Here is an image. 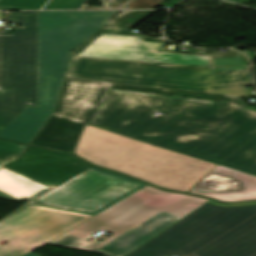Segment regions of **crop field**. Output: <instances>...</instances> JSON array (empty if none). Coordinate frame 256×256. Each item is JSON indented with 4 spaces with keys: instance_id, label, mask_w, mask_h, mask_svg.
I'll use <instances>...</instances> for the list:
<instances>
[{
    "instance_id": "1",
    "label": "crop field",
    "mask_w": 256,
    "mask_h": 256,
    "mask_svg": "<svg viewBox=\"0 0 256 256\" xmlns=\"http://www.w3.org/2000/svg\"><path fill=\"white\" fill-rule=\"evenodd\" d=\"M73 154L188 192L218 164L256 175V113L231 103L110 89Z\"/></svg>"
},
{
    "instance_id": "2",
    "label": "crop field",
    "mask_w": 256,
    "mask_h": 256,
    "mask_svg": "<svg viewBox=\"0 0 256 256\" xmlns=\"http://www.w3.org/2000/svg\"><path fill=\"white\" fill-rule=\"evenodd\" d=\"M167 44L105 25L73 51L65 77L197 92L253 84L239 52L187 55L165 51Z\"/></svg>"
},
{
    "instance_id": "3",
    "label": "crop field",
    "mask_w": 256,
    "mask_h": 256,
    "mask_svg": "<svg viewBox=\"0 0 256 256\" xmlns=\"http://www.w3.org/2000/svg\"><path fill=\"white\" fill-rule=\"evenodd\" d=\"M207 201L147 186L47 244L82 251L102 228L114 234L86 250L122 256Z\"/></svg>"
},
{
    "instance_id": "4",
    "label": "crop field",
    "mask_w": 256,
    "mask_h": 256,
    "mask_svg": "<svg viewBox=\"0 0 256 256\" xmlns=\"http://www.w3.org/2000/svg\"><path fill=\"white\" fill-rule=\"evenodd\" d=\"M121 11L39 12V108L28 107L0 137L29 144L53 114L72 50Z\"/></svg>"
},
{
    "instance_id": "5",
    "label": "crop field",
    "mask_w": 256,
    "mask_h": 256,
    "mask_svg": "<svg viewBox=\"0 0 256 256\" xmlns=\"http://www.w3.org/2000/svg\"><path fill=\"white\" fill-rule=\"evenodd\" d=\"M256 256V205L203 204L124 256Z\"/></svg>"
},
{
    "instance_id": "6",
    "label": "crop field",
    "mask_w": 256,
    "mask_h": 256,
    "mask_svg": "<svg viewBox=\"0 0 256 256\" xmlns=\"http://www.w3.org/2000/svg\"><path fill=\"white\" fill-rule=\"evenodd\" d=\"M109 88L212 99L248 107L235 96L65 78L54 114L31 144L72 153L85 123H92Z\"/></svg>"
},
{
    "instance_id": "7",
    "label": "crop field",
    "mask_w": 256,
    "mask_h": 256,
    "mask_svg": "<svg viewBox=\"0 0 256 256\" xmlns=\"http://www.w3.org/2000/svg\"><path fill=\"white\" fill-rule=\"evenodd\" d=\"M37 21V12H8L20 28L1 33L0 132L28 106L38 107Z\"/></svg>"
},
{
    "instance_id": "8",
    "label": "crop field",
    "mask_w": 256,
    "mask_h": 256,
    "mask_svg": "<svg viewBox=\"0 0 256 256\" xmlns=\"http://www.w3.org/2000/svg\"><path fill=\"white\" fill-rule=\"evenodd\" d=\"M145 186L126 176L91 167L31 204L95 215Z\"/></svg>"
},
{
    "instance_id": "9",
    "label": "crop field",
    "mask_w": 256,
    "mask_h": 256,
    "mask_svg": "<svg viewBox=\"0 0 256 256\" xmlns=\"http://www.w3.org/2000/svg\"><path fill=\"white\" fill-rule=\"evenodd\" d=\"M92 217L28 204L0 223V256H22ZM40 248V247H39Z\"/></svg>"
},
{
    "instance_id": "10",
    "label": "crop field",
    "mask_w": 256,
    "mask_h": 256,
    "mask_svg": "<svg viewBox=\"0 0 256 256\" xmlns=\"http://www.w3.org/2000/svg\"><path fill=\"white\" fill-rule=\"evenodd\" d=\"M4 167L46 186L57 187L91 166L71 156L27 146L16 162Z\"/></svg>"
},
{
    "instance_id": "11",
    "label": "crop field",
    "mask_w": 256,
    "mask_h": 256,
    "mask_svg": "<svg viewBox=\"0 0 256 256\" xmlns=\"http://www.w3.org/2000/svg\"><path fill=\"white\" fill-rule=\"evenodd\" d=\"M188 193L225 202L256 199V176L218 165Z\"/></svg>"
},
{
    "instance_id": "12",
    "label": "crop field",
    "mask_w": 256,
    "mask_h": 256,
    "mask_svg": "<svg viewBox=\"0 0 256 256\" xmlns=\"http://www.w3.org/2000/svg\"><path fill=\"white\" fill-rule=\"evenodd\" d=\"M36 181L22 177L5 168H0V198L21 201L30 200L49 190Z\"/></svg>"
},
{
    "instance_id": "13",
    "label": "crop field",
    "mask_w": 256,
    "mask_h": 256,
    "mask_svg": "<svg viewBox=\"0 0 256 256\" xmlns=\"http://www.w3.org/2000/svg\"><path fill=\"white\" fill-rule=\"evenodd\" d=\"M48 0H0V10H40ZM87 0H51L44 9H80Z\"/></svg>"
},
{
    "instance_id": "14",
    "label": "crop field",
    "mask_w": 256,
    "mask_h": 256,
    "mask_svg": "<svg viewBox=\"0 0 256 256\" xmlns=\"http://www.w3.org/2000/svg\"><path fill=\"white\" fill-rule=\"evenodd\" d=\"M154 12L156 11H122L110 20L108 24L130 30Z\"/></svg>"
},
{
    "instance_id": "15",
    "label": "crop field",
    "mask_w": 256,
    "mask_h": 256,
    "mask_svg": "<svg viewBox=\"0 0 256 256\" xmlns=\"http://www.w3.org/2000/svg\"><path fill=\"white\" fill-rule=\"evenodd\" d=\"M25 147V145L0 140V167L9 162L16 161Z\"/></svg>"
},
{
    "instance_id": "16",
    "label": "crop field",
    "mask_w": 256,
    "mask_h": 256,
    "mask_svg": "<svg viewBox=\"0 0 256 256\" xmlns=\"http://www.w3.org/2000/svg\"><path fill=\"white\" fill-rule=\"evenodd\" d=\"M103 7L84 6L83 9H122L132 0H99Z\"/></svg>"
},
{
    "instance_id": "17",
    "label": "crop field",
    "mask_w": 256,
    "mask_h": 256,
    "mask_svg": "<svg viewBox=\"0 0 256 256\" xmlns=\"http://www.w3.org/2000/svg\"><path fill=\"white\" fill-rule=\"evenodd\" d=\"M163 0H134L125 9H154Z\"/></svg>"
},
{
    "instance_id": "18",
    "label": "crop field",
    "mask_w": 256,
    "mask_h": 256,
    "mask_svg": "<svg viewBox=\"0 0 256 256\" xmlns=\"http://www.w3.org/2000/svg\"><path fill=\"white\" fill-rule=\"evenodd\" d=\"M207 203H210V204L216 205V206H225V207L256 204V202L241 203V204H222V203L214 202V201H212V200L209 201V202H207Z\"/></svg>"
},
{
    "instance_id": "19",
    "label": "crop field",
    "mask_w": 256,
    "mask_h": 256,
    "mask_svg": "<svg viewBox=\"0 0 256 256\" xmlns=\"http://www.w3.org/2000/svg\"><path fill=\"white\" fill-rule=\"evenodd\" d=\"M23 256H41V255L30 253V254H24Z\"/></svg>"
}]
</instances>
